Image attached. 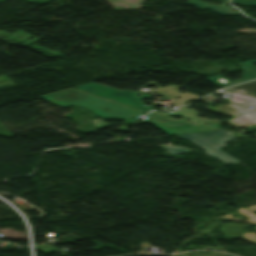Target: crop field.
<instances>
[{
  "mask_svg": "<svg viewBox=\"0 0 256 256\" xmlns=\"http://www.w3.org/2000/svg\"><path fill=\"white\" fill-rule=\"evenodd\" d=\"M40 98L60 105H75L89 110L99 118L122 119L125 120V123H134L144 115L114 101L99 98L74 88L43 95Z\"/></svg>",
  "mask_w": 256,
  "mask_h": 256,
  "instance_id": "obj_1",
  "label": "crop field"
},
{
  "mask_svg": "<svg viewBox=\"0 0 256 256\" xmlns=\"http://www.w3.org/2000/svg\"><path fill=\"white\" fill-rule=\"evenodd\" d=\"M231 132H227L225 130H213V131H205V132H197V133H189V134H181L177 135L178 138L187 139L189 141L193 140V144L205 149L206 154L217 157L222 162H233L238 163V160L226 155L225 153L220 151L222 146H225L226 140H231L236 136H231ZM221 142V144H220Z\"/></svg>",
  "mask_w": 256,
  "mask_h": 256,
  "instance_id": "obj_2",
  "label": "crop field"
},
{
  "mask_svg": "<svg viewBox=\"0 0 256 256\" xmlns=\"http://www.w3.org/2000/svg\"><path fill=\"white\" fill-rule=\"evenodd\" d=\"M79 90L85 91V92H89L95 95H99L111 100H114L116 102L122 103L124 105H132L131 108L143 112V113H147L149 112L150 108H148L147 106L143 105L140 101L141 98L146 97L149 98L151 96V94H143L141 96H136L138 95L140 92L142 91H123V90H119L113 87H109V86H105V85H101L98 84L96 82L93 83H89L86 85H82V86H78L75 87Z\"/></svg>",
  "mask_w": 256,
  "mask_h": 256,
  "instance_id": "obj_3",
  "label": "crop field"
},
{
  "mask_svg": "<svg viewBox=\"0 0 256 256\" xmlns=\"http://www.w3.org/2000/svg\"><path fill=\"white\" fill-rule=\"evenodd\" d=\"M139 122L151 123L169 135L219 129L220 123L194 127L186 118L147 115Z\"/></svg>",
  "mask_w": 256,
  "mask_h": 256,
  "instance_id": "obj_4",
  "label": "crop field"
},
{
  "mask_svg": "<svg viewBox=\"0 0 256 256\" xmlns=\"http://www.w3.org/2000/svg\"><path fill=\"white\" fill-rule=\"evenodd\" d=\"M147 84H153L155 85L157 88L151 92L153 93H157L165 98H168V99H171L173 100L177 105H180V104H184L185 103V100L186 99H191V100H195L197 98H199V96L197 95H193V94H188V93H178V90L177 88L179 86H174V85H169L165 88H161V87H158L156 84H155V81H152V82H148ZM175 96H178L180 97L181 99L179 100H174L172 99L173 97Z\"/></svg>",
  "mask_w": 256,
  "mask_h": 256,
  "instance_id": "obj_5",
  "label": "crop field"
},
{
  "mask_svg": "<svg viewBox=\"0 0 256 256\" xmlns=\"http://www.w3.org/2000/svg\"><path fill=\"white\" fill-rule=\"evenodd\" d=\"M241 68L243 69V73H242V78L237 80V81H230L220 75H217V76H212V77H209L207 78L210 82L216 84V85H219V86H223V87H226V86H230V85H233V84H237V83H241V82H244V81H248V80H251V79H255L256 78V72H254L253 70L247 68L246 66L240 64Z\"/></svg>",
  "mask_w": 256,
  "mask_h": 256,
  "instance_id": "obj_6",
  "label": "crop field"
},
{
  "mask_svg": "<svg viewBox=\"0 0 256 256\" xmlns=\"http://www.w3.org/2000/svg\"><path fill=\"white\" fill-rule=\"evenodd\" d=\"M248 226H242V225H238V224H227V226H223V224H221L220 226V232L224 233V231H226L227 233L224 237L227 238H231V239H236L237 235L240 234V232L242 233L241 236H243L244 239L252 241L254 243H256V228H255V233H250V232H245L243 229L246 228ZM232 228H241L240 231H238V233H236L234 230H232ZM240 236V237H241Z\"/></svg>",
  "mask_w": 256,
  "mask_h": 256,
  "instance_id": "obj_7",
  "label": "crop field"
},
{
  "mask_svg": "<svg viewBox=\"0 0 256 256\" xmlns=\"http://www.w3.org/2000/svg\"><path fill=\"white\" fill-rule=\"evenodd\" d=\"M186 106L187 105L178 107L179 110L174 111V112H166V111L165 112H152L150 114L170 115V116H187L195 125L218 122L217 120H212V119H207L208 121H202L201 119H205V118L195 117L194 115H196V112L194 110H186L185 108H183Z\"/></svg>",
  "mask_w": 256,
  "mask_h": 256,
  "instance_id": "obj_8",
  "label": "crop field"
},
{
  "mask_svg": "<svg viewBox=\"0 0 256 256\" xmlns=\"http://www.w3.org/2000/svg\"><path fill=\"white\" fill-rule=\"evenodd\" d=\"M187 3L195 5L200 9H207V10H212V11L218 12L222 15H236L237 14V11H235L225 5L214 6V5L206 4V3L199 2L196 0H188Z\"/></svg>",
  "mask_w": 256,
  "mask_h": 256,
  "instance_id": "obj_9",
  "label": "crop field"
},
{
  "mask_svg": "<svg viewBox=\"0 0 256 256\" xmlns=\"http://www.w3.org/2000/svg\"><path fill=\"white\" fill-rule=\"evenodd\" d=\"M230 106H232L234 109L245 115L250 120L256 122V107L254 109L246 108V106L253 105L256 106V98L254 100H247L241 105L234 106L230 103H228Z\"/></svg>",
  "mask_w": 256,
  "mask_h": 256,
  "instance_id": "obj_10",
  "label": "crop field"
},
{
  "mask_svg": "<svg viewBox=\"0 0 256 256\" xmlns=\"http://www.w3.org/2000/svg\"><path fill=\"white\" fill-rule=\"evenodd\" d=\"M225 90H231L234 92H238V93L256 97V80L247 82V83H244L241 85H237V86L225 89Z\"/></svg>",
  "mask_w": 256,
  "mask_h": 256,
  "instance_id": "obj_11",
  "label": "crop field"
},
{
  "mask_svg": "<svg viewBox=\"0 0 256 256\" xmlns=\"http://www.w3.org/2000/svg\"><path fill=\"white\" fill-rule=\"evenodd\" d=\"M240 214L244 215V216H247L249 217L250 219L247 220L248 222L252 223V224H256V216L251 214L250 212H248L247 210L241 208V209H238L237 210ZM232 215H227L225 217H222V218H229V219H233V220H238V219H235V218H230ZM242 221V220H241Z\"/></svg>",
  "mask_w": 256,
  "mask_h": 256,
  "instance_id": "obj_12",
  "label": "crop field"
},
{
  "mask_svg": "<svg viewBox=\"0 0 256 256\" xmlns=\"http://www.w3.org/2000/svg\"><path fill=\"white\" fill-rule=\"evenodd\" d=\"M162 148L167 149L171 155L178 154V153H183V152H189L186 149L178 148V147H172V146H163Z\"/></svg>",
  "mask_w": 256,
  "mask_h": 256,
  "instance_id": "obj_13",
  "label": "crop field"
},
{
  "mask_svg": "<svg viewBox=\"0 0 256 256\" xmlns=\"http://www.w3.org/2000/svg\"><path fill=\"white\" fill-rule=\"evenodd\" d=\"M91 123L94 125L93 127L101 129L104 128L105 126H107V123H103V121L101 119H95L93 121H91Z\"/></svg>",
  "mask_w": 256,
  "mask_h": 256,
  "instance_id": "obj_14",
  "label": "crop field"
},
{
  "mask_svg": "<svg viewBox=\"0 0 256 256\" xmlns=\"http://www.w3.org/2000/svg\"><path fill=\"white\" fill-rule=\"evenodd\" d=\"M232 2L239 3V4H245V5L256 6V2H254V1H248V0H232Z\"/></svg>",
  "mask_w": 256,
  "mask_h": 256,
  "instance_id": "obj_15",
  "label": "crop field"
},
{
  "mask_svg": "<svg viewBox=\"0 0 256 256\" xmlns=\"http://www.w3.org/2000/svg\"><path fill=\"white\" fill-rule=\"evenodd\" d=\"M252 61H256V60H248V61L243 62V63L256 70V68L250 63V62H252Z\"/></svg>",
  "mask_w": 256,
  "mask_h": 256,
  "instance_id": "obj_16",
  "label": "crop field"
},
{
  "mask_svg": "<svg viewBox=\"0 0 256 256\" xmlns=\"http://www.w3.org/2000/svg\"><path fill=\"white\" fill-rule=\"evenodd\" d=\"M247 209H249V210H251V211H254V210H256V206L247 207Z\"/></svg>",
  "mask_w": 256,
  "mask_h": 256,
  "instance_id": "obj_17",
  "label": "crop field"
},
{
  "mask_svg": "<svg viewBox=\"0 0 256 256\" xmlns=\"http://www.w3.org/2000/svg\"><path fill=\"white\" fill-rule=\"evenodd\" d=\"M220 1H224V2H226L227 0H220Z\"/></svg>",
  "mask_w": 256,
  "mask_h": 256,
  "instance_id": "obj_18",
  "label": "crop field"
}]
</instances>
